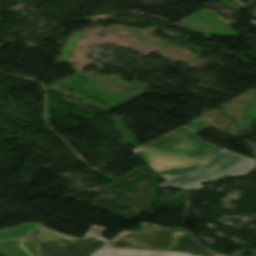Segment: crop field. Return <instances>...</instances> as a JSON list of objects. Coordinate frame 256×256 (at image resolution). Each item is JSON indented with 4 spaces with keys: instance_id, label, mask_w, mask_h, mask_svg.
<instances>
[{
    "instance_id": "1",
    "label": "crop field",
    "mask_w": 256,
    "mask_h": 256,
    "mask_svg": "<svg viewBox=\"0 0 256 256\" xmlns=\"http://www.w3.org/2000/svg\"><path fill=\"white\" fill-rule=\"evenodd\" d=\"M219 150L196 138L184 125L133 152L165 178L197 169Z\"/></svg>"
},
{
    "instance_id": "2",
    "label": "crop field",
    "mask_w": 256,
    "mask_h": 256,
    "mask_svg": "<svg viewBox=\"0 0 256 256\" xmlns=\"http://www.w3.org/2000/svg\"><path fill=\"white\" fill-rule=\"evenodd\" d=\"M102 248L144 249L181 252L202 256H224L198 243L181 228L141 224L140 231H121Z\"/></svg>"
},
{
    "instance_id": "3",
    "label": "crop field",
    "mask_w": 256,
    "mask_h": 256,
    "mask_svg": "<svg viewBox=\"0 0 256 256\" xmlns=\"http://www.w3.org/2000/svg\"><path fill=\"white\" fill-rule=\"evenodd\" d=\"M256 167L253 159L222 149L195 171L165 178L159 187L198 189L203 181H216L230 175H243Z\"/></svg>"
},
{
    "instance_id": "4",
    "label": "crop field",
    "mask_w": 256,
    "mask_h": 256,
    "mask_svg": "<svg viewBox=\"0 0 256 256\" xmlns=\"http://www.w3.org/2000/svg\"><path fill=\"white\" fill-rule=\"evenodd\" d=\"M105 227L92 225L83 238L63 235L41 225L40 256H90L108 240Z\"/></svg>"
},
{
    "instance_id": "5",
    "label": "crop field",
    "mask_w": 256,
    "mask_h": 256,
    "mask_svg": "<svg viewBox=\"0 0 256 256\" xmlns=\"http://www.w3.org/2000/svg\"><path fill=\"white\" fill-rule=\"evenodd\" d=\"M91 256H191L181 253L144 251V250H115L99 249Z\"/></svg>"
},
{
    "instance_id": "6",
    "label": "crop field",
    "mask_w": 256,
    "mask_h": 256,
    "mask_svg": "<svg viewBox=\"0 0 256 256\" xmlns=\"http://www.w3.org/2000/svg\"><path fill=\"white\" fill-rule=\"evenodd\" d=\"M193 256H196V255H193Z\"/></svg>"
},
{
    "instance_id": "7",
    "label": "crop field",
    "mask_w": 256,
    "mask_h": 256,
    "mask_svg": "<svg viewBox=\"0 0 256 256\" xmlns=\"http://www.w3.org/2000/svg\"><path fill=\"white\" fill-rule=\"evenodd\" d=\"M255 161H256V158H255Z\"/></svg>"
}]
</instances>
